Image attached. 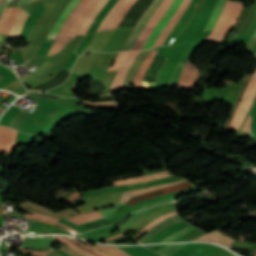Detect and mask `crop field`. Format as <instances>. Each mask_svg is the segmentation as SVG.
Instances as JSON below:
<instances>
[{"label": "crop field", "instance_id": "crop-field-1", "mask_svg": "<svg viewBox=\"0 0 256 256\" xmlns=\"http://www.w3.org/2000/svg\"><path fill=\"white\" fill-rule=\"evenodd\" d=\"M97 1L98 0H81L78 6L73 10L71 15L65 21L62 29L58 34L57 40L63 41L66 44L72 38H74L86 16Z\"/></svg>", "mask_w": 256, "mask_h": 256}, {"label": "crop field", "instance_id": "crop-field-2", "mask_svg": "<svg viewBox=\"0 0 256 256\" xmlns=\"http://www.w3.org/2000/svg\"><path fill=\"white\" fill-rule=\"evenodd\" d=\"M244 3H233L227 1L223 12L213 30V32L206 38L207 40H219L226 35V33L233 26L238 14L240 13Z\"/></svg>", "mask_w": 256, "mask_h": 256}, {"label": "crop field", "instance_id": "crop-field-3", "mask_svg": "<svg viewBox=\"0 0 256 256\" xmlns=\"http://www.w3.org/2000/svg\"><path fill=\"white\" fill-rule=\"evenodd\" d=\"M256 99V73L253 76L240 104L235 113L233 121L228 129L241 130L247 115L249 114L252 105Z\"/></svg>", "mask_w": 256, "mask_h": 256}, {"label": "crop field", "instance_id": "crop-field-4", "mask_svg": "<svg viewBox=\"0 0 256 256\" xmlns=\"http://www.w3.org/2000/svg\"><path fill=\"white\" fill-rule=\"evenodd\" d=\"M136 0H118L97 31L115 29L120 20L125 16ZM119 25V24H118Z\"/></svg>", "mask_w": 256, "mask_h": 256}, {"label": "crop field", "instance_id": "crop-field-5", "mask_svg": "<svg viewBox=\"0 0 256 256\" xmlns=\"http://www.w3.org/2000/svg\"><path fill=\"white\" fill-rule=\"evenodd\" d=\"M163 2V0H155L153 4L150 6V8L146 11V13L141 18L140 22L128 38L127 42L123 46L122 50H132L133 46L135 45L136 41L140 37L142 31L144 30L145 26L147 25L149 19L154 14V12L157 10V8L160 6V4Z\"/></svg>", "mask_w": 256, "mask_h": 256}, {"label": "crop field", "instance_id": "crop-field-6", "mask_svg": "<svg viewBox=\"0 0 256 256\" xmlns=\"http://www.w3.org/2000/svg\"><path fill=\"white\" fill-rule=\"evenodd\" d=\"M173 0H165L156 14L151 18V21L148 23L149 26L155 27L157 22L161 19L165 11L168 9L169 5L172 3ZM153 30L152 27H146L144 32L142 33L141 37L137 41L133 50H141L143 44L145 43L146 39L150 35L151 31Z\"/></svg>", "mask_w": 256, "mask_h": 256}, {"label": "crop field", "instance_id": "crop-field-7", "mask_svg": "<svg viewBox=\"0 0 256 256\" xmlns=\"http://www.w3.org/2000/svg\"><path fill=\"white\" fill-rule=\"evenodd\" d=\"M181 2H182V0H175L173 2V4L170 6L168 11L165 13L163 18L160 20L158 26L153 31L152 35L150 36V38L148 39V41L146 42V44L144 45L142 50H146V49H149L152 47L154 41L156 40V38L158 37L160 32L163 30V28L166 26V24L169 22V20L173 16L174 12L180 6Z\"/></svg>", "mask_w": 256, "mask_h": 256}, {"label": "crop field", "instance_id": "crop-field-8", "mask_svg": "<svg viewBox=\"0 0 256 256\" xmlns=\"http://www.w3.org/2000/svg\"><path fill=\"white\" fill-rule=\"evenodd\" d=\"M190 186H192V185L190 183L186 182V183H182V184H179V185L166 187V188L159 189V190H156V191L144 194V195L133 197L126 204L134 206L140 200L147 199V198H150V197L160 196V195L167 194V193H171V192L181 190V189H184V188H187V187H190Z\"/></svg>", "mask_w": 256, "mask_h": 256}, {"label": "crop field", "instance_id": "crop-field-9", "mask_svg": "<svg viewBox=\"0 0 256 256\" xmlns=\"http://www.w3.org/2000/svg\"><path fill=\"white\" fill-rule=\"evenodd\" d=\"M138 53L139 52H131L130 53V55L128 56L127 60L123 64L122 68L119 70L115 80L113 81L109 93L115 92L117 90H120L121 85H122L123 80H124V76H125L127 70L129 69L130 65L132 64L133 60L138 55Z\"/></svg>", "mask_w": 256, "mask_h": 256}, {"label": "crop field", "instance_id": "crop-field-10", "mask_svg": "<svg viewBox=\"0 0 256 256\" xmlns=\"http://www.w3.org/2000/svg\"><path fill=\"white\" fill-rule=\"evenodd\" d=\"M16 133L12 129L0 126V151L10 152L15 142Z\"/></svg>", "mask_w": 256, "mask_h": 256}, {"label": "crop field", "instance_id": "crop-field-11", "mask_svg": "<svg viewBox=\"0 0 256 256\" xmlns=\"http://www.w3.org/2000/svg\"><path fill=\"white\" fill-rule=\"evenodd\" d=\"M191 0H184V2L181 4V6L179 7V9L177 10V12L174 14V16L172 17V19L170 20V22L168 23V25L166 26V28L164 29V31L161 33V35L158 37V39L156 40L154 46L156 45H161L162 42L164 41V39L166 38V36L169 34V32L171 31V29L173 28V26L176 24V22L178 21V19L181 17V15L183 14V12L186 10V8L188 7L189 3ZM153 46V47H154Z\"/></svg>", "mask_w": 256, "mask_h": 256}, {"label": "crop field", "instance_id": "crop-field-12", "mask_svg": "<svg viewBox=\"0 0 256 256\" xmlns=\"http://www.w3.org/2000/svg\"><path fill=\"white\" fill-rule=\"evenodd\" d=\"M148 52H149V50L140 52V54L134 60L132 66L130 67V69L127 72L122 89H130L131 88L132 82L135 77V73H136L137 69L140 67V65L143 63Z\"/></svg>", "mask_w": 256, "mask_h": 256}, {"label": "crop field", "instance_id": "crop-field-13", "mask_svg": "<svg viewBox=\"0 0 256 256\" xmlns=\"http://www.w3.org/2000/svg\"><path fill=\"white\" fill-rule=\"evenodd\" d=\"M80 0H71L70 3L68 4L67 8L63 11V13L60 15L58 20L56 21L55 25L51 29L53 32H59L61 26L63 25L64 21L68 17V15L72 12L73 8L76 6V4ZM57 36L56 33L50 32L47 38H55Z\"/></svg>", "mask_w": 256, "mask_h": 256}, {"label": "crop field", "instance_id": "crop-field-14", "mask_svg": "<svg viewBox=\"0 0 256 256\" xmlns=\"http://www.w3.org/2000/svg\"><path fill=\"white\" fill-rule=\"evenodd\" d=\"M54 40H46L43 45L40 47L38 52L35 54V56H44L47 54L48 50L50 49L52 43ZM10 59H14L17 61H20L22 63L27 62L24 51L23 50H16V52L9 57ZM19 62V63H20Z\"/></svg>", "mask_w": 256, "mask_h": 256}, {"label": "crop field", "instance_id": "crop-field-15", "mask_svg": "<svg viewBox=\"0 0 256 256\" xmlns=\"http://www.w3.org/2000/svg\"><path fill=\"white\" fill-rule=\"evenodd\" d=\"M168 176H172V175L168 171H166V172L157 173V174L148 175V176L130 178V179L122 180V181H115V182H113V184H114V186H120V185L150 181V180L163 178V177H168Z\"/></svg>", "mask_w": 256, "mask_h": 256}, {"label": "crop field", "instance_id": "crop-field-16", "mask_svg": "<svg viewBox=\"0 0 256 256\" xmlns=\"http://www.w3.org/2000/svg\"><path fill=\"white\" fill-rule=\"evenodd\" d=\"M179 221H181V218L178 215L171 217V218L159 223L155 227L151 228L143 237L138 239L137 242L142 243L145 240H147L149 237H151L153 234L157 233L158 231H160L176 222H179Z\"/></svg>", "mask_w": 256, "mask_h": 256}, {"label": "crop field", "instance_id": "crop-field-17", "mask_svg": "<svg viewBox=\"0 0 256 256\" xmlns=\"http://www.w3.org/2000/svg\"><path fill=\"white\" fill-rule=\"evenodd\" d=\"M182 182H186V181L185 180H180V181L169 183V184H163V185H157V186L148 187L146 189L126 191V192L123 193V195H122V197H121L119 202L125 204V202L127 200H129L133 196H136V195H139V194H143V193H147V192L156 190V189L161 188V187H165V186H169V185H173V184H177V183H182Z\"/></svg>", "mask_w": 256, "mask_h": 256}, {"label": "crop field", "instance_id": "crop-field-18", "mask_svg": "<svg viewBox=\"0 0 256 256\" xmlns=\"http://www.w3.org/2000/svg\"><path fill=\"white\" fill-rule=\"evenodd\" d=\"M156 53H157L156 51L150 50V52H149L147 58L145 59L144 63L141 65V67L137 71V74H136V77H135V80H134V83H133L131 89H139L140 83H141L142 78H143V75H144L146 69L148 68V66L151 64V62H152Z\"/></svg>", "mask_w": 256, "mask_h": 256}, {"label": "crop field", "instance_id": "crop-field-19", "mask_svg": "<svg viewBox=\"0 0 256 256\" xmlns=\"http://www.w3.org/2000/svg\"><path fill=\"white\" fill-rule=\"evenodd\" d=\"M99 218H103V216L101 215V213L98 210H96L94 212L87 213V214L80 215V216H76V217H73V218H70V219H67V220L79 225V224L89 222V221H93V220H96V219H99Z\"/></svg>", "mask_w": 256, "mask_h": 256}, {"label": "crop field", "instance_id": "crop-field-20", "mask_svg": "<svg viewBox=\"0 0 256 256\" xmlns=\"http://www.w3.org/2000/svg\"><path fill=\"white\" fill-rule=\"evenodd\" d=\"M120 248L132 256H157V254L153 253L152 251L148 250L143 246L120 247Z\"/></svg>", "mask_w": 256, "mask_h": 256}, {"label": "crop field", "instance_id": "crop-field-21", "mask_svg": "<svg viewBox=\"0 0 256 256\" xmlns=\"http://www.w3.org/2000/svg\"><path fill=\"white\" fill-rule=\"evenodd\" d=\"M225 2H226V0H218V2L216 4V7H215V10H214V13L212 12L213 15L211 14L212 17L210 16L211 19L209 18L210 21L208 20L209 22H208V24H207V26L205 27L204 30L213 29L214 25L216 24L221 12H222V9H223V6H224Z\"/></svg>", "mask_w": 256, "mask_h": 256}, {"label": "crop field", "instance_id": "crop-field-22", "mask_svg": "<svg viewBox=\"0 0 256 256\" xmlns=\"http://www.w3.org/2000/svg\"><path fill=\"white\" fill-rule=\"evenodd\" d=\"M21 110L17 108L16 106H12L5 114L4 116L0 119V125L3 126H9L13 118L16 116L18 111Z\"/></svg>", "mask_w": 256, "mask_h": 256}, {"label": "crop field", "instance_id": "crop-field-23", "mask_svg": "<svg viewBox=\"0 0 256 256\" xmlns=\"http://www.w3.org/2000/svg\"><path fill=\"white\" fill-rule=\"evenodd\" d=\"M28 15L29 14H27L25 11L22 10V12L20 13V15H19V17H18V19L15 23V26H14V28L11 31L9 36H12V37H18L19 36V33H20L21 27L23 25V22L28 17Z\"/></svg>", "mask_w": 256, "mask_h": 256}, {"label": "crop field", "instance_id": "crop-field-24", "mask_svg": "<svg viewBox=\"0 0 256 256\" xmlns=\"http://www.w3.org/2000/svg\"><path fill=\"white\" fill-rule=\"evenodd\" d=\"M209 236V238L217 243V244H220V245H223L227 248H230L231 246H229L228 244L234 242L228 238H226L223 234L221 233H215V234H207Z\"/></svg>", "mask_w": 256, "mask_h": 256}, {"label": "crop field", "instance_id": "crop-field-25", "mask_svg": "<svg viewBox=\"0 0 256 256\" xmlns=\"http://www.w3.org/2000/svg\"><path fill=\"white\" fill-rule=\"evenodd\" d=\"M197 73H198V70L196 69L195 66H193L189 63H186V66L180 76V80H183V79L189 78V77H193V76L197 75Z\"/></svg>", "mask_w": 256, "mask_h": 256}, {"label": "crop field", "instance_id": "crop-field-26", "mask_svg": "<svg viewBox=\"0 0 256 256\" xmlns=\"http://www.w3.org/2000/svg\"><path fill=\"white\" fill-rule=\"evenodd\" d=\"M177 213H176V211H174V212H172V213H169V214H166V215H162L161 217H159V218H157V219H155V220H153L151 223H149L146 227H144L143 229H142V231L139 233V234H137V236H142L144 233H146L151 227H153L155 224H157L158 222H160V221H162V220H164V219H166V218H168V217H171V216H173V215H176Z\"/></svg>", "mask_w": 256, "mask_h": 256}, {"label": "crop field", "instance_id": "crop-field-27", "mask_svg": "<svg viewBox=\"0 0 256 256\" xmlns=\"http://www.w3.org/2000/svg\"><path fill=\"white\" fill-rule=\"evenodd\" d=\"M20 10L21 9H17V8L14 9L10 18L8 19L7 23L5 24V26L3 28V31H2L3 34H7V35L9 34V32L13 26V23H14L17 15L19 14Z\"/></svg>", "mask_w": 256, "mask_h": 256}, {"label": "crop field", "instance_id": "crop-field-28", "mask_svg": "<svg viewBox=\"0 0 256 256\" xmlns=\"http://www.w3.org/2000/svg\"><path fill=\"white\" fill-rule=\"evenodd\" d=\"M129 52H120L119 55L117 56L114 65L109 68L108 70H119L120 66L128 56ZM107 70V71H108Z\"/></svg>", "mask_w": 256, "mask_h": 256}, {"label": "crop field", "instance_id": "crop-field-29", "mask_svg": "<svg viewBox=\"0 0 256 256\" xmlns=\"http://www.w3.org/2000/svg\"><path fill=\"white\" fill-rule=\"evenodd\" d=\"M249 10H250V7L243 8V10L241 11L239 18H238L239 21L235 22L233 28L238 29V30L241 28V26L244 24V22L246 20Z\"/></svg>", "mask_w": 256, "mask_h": 256}, {"label": "crop field", "instance_id": "crop-field-30", "mask_svg": "<svg viewBox=\"0 0 256 256\" xmlns=\"http://www.w3.org/2000/svg\"><path fill=\"white\" fill-rule=\"evenodd\" d=\"M194 228H196V227H194V226L191 225V226H189V227H187V228H185V229H183V230H181V231H179V232H177V233L171 235L170 237L164 239L162 242H170V241L176 239L177 237H179V236H181V235H183V234H185V233H187V232L193 230ZM160 243H161V242H160Z\"/></svg>", "mask_w": 256, "mask_h": 256}, {"label": "crop field", "instance_id": "crop-field-31", "mask_svg": "<svg viewBox=\"0 0 256 256\" xmlns=\"http://www.w3.org/2000/svg\"><path fill=\"white\" fill-rule=\"evenodd\" d=\"M195 80H196V77L188 79V80L181 81V82H179L178 87L192 91L193 87H194V84H195Z\"/></svg>", "mask_w": 256, "mask_h": 256}, {"label": "crop field", "instance_id": "crop-field-32", "mask_svg": "<svg viewBox=\"0 0 256 256\" xmlns=\"http://www.w3.org/2000/svg\"><path fill=\"white\" fill-rule=\"evenodd\" d=\"M183 66H184L183 64L178 62L177 66H176V68H175V70L173 72V76H172V79H171V82H170L169 85H172V84L178 82L180 73H181V71L183 69Z\"/></svg>", "mask_w": 256, "mask_h": 256}, {"label": "crop field", "instance_id": "crop-field-33", "mask_svg": "<svg viewBox=\"0 0 256 256\" xmlns=\"http://www.w3.org/2000/svg\"><path fill=\"white\" fill-rule=\"evenodd\" d=\"M103 220H105V218L100 219V220H97V221H94V222L86 223V224H83V225H79V226H77V225H75V224H73V223H71V222H69V221H67V220H63V219H60L59 222L64 223V224H67V225H69V226L75 228V229L78 230L79 232L83 233V232H85V231H84L83 229H81L80 227H82V226H84V225H88V224H93V223L101 222V221H103Z\"/></svg>", "mask_w": 256, "mask_h": 256}, {"label": "crop field", "instance_id": "crop-field-34", "mask_svg": "<svg viewBox=\"0 0 256 256\" xmlns=\"http://www.w3.org/2000/svg\"><path fill=\"white\" fill-rule=\"evenodd\" d=\"M12 10H13V8H7V9L4 11L2 17L0 18V32H1V30H2V28H3V26H4V24H5V22H6L7 19L9 18V16H10Z\"/></svg>", "mask_w": 256, "mask_h": 256}, {"label": "crop field", "instance_id": "crop-field-35", "mask_svg": "<svg viewBox=\"0 0 256 256\" xmlns=\"http://www.w3.org/2000/svg\"><path fill=\"white\" fill-rule=\"evenodd\" d=\"M82 102H84V101H82ZM84 103L91 104V105H96V106H100V107H104V108H116V107H119V105L116 102H104V103H88V102H84Z\"/></svg>", "mask_w": 256, "mask_h": 256}, {"label": "crop field", "instance_id": "crop-field-36", "mask_svg": "<svg viewBox=\"0 0 256 256\" xmlns=\"http://www.w3.org/2000/svg\"><path fill=\"white\" fill-rule=\"evenodd\" d=\"M255 12H256V3L254 4V6H253V8H252V10H251V12H250V15H249L247 21L245 22L243 28H242L241 31H240L241 34L244 33V31L246 30V28H247L248 25L250 24V22H251V20H252V18H253V16H254V14H255Z\"/></svg>", "mask_w": 256, "mask_h": 256}, {"label": "crop field", "instance_id": "crop-field-37", "mask_svg": "<svg viewBox=\"0 0 256 256\" xmlns=\"http://www.w3.org/2000/svg\"><path fill=\"white\" fill-rule=\"evenodd\" d=\"M65 44L58 42L55 40L54 44L52 45L48 55L51 54H55L56 52H58L60 49H62L64 47Z\"/></svg>", "mask_w": 256, "mask_h": 256}, {"label": "crop field", "instance_id": "crop-field-38", "mask_svg": "<svg viewBox=\"0 0 256 256\" xmlns=\"http://www.w3.org/2000/svg\"><path fill=\"white\" fill-rule=\"evenodd\" d=\"M77 57L78 56L75 53H73L72 56L70 57V59L67 61V63L63 66V68L69 70L72 67V65L74 64Z\"/></svg>", "mask_w": 256, "mask_h": 256}, {"label": "crop field", "instance_id": "crop-field-39", "mask_svg": "<svg viewBox=\"0 0 256 256\" xmlns=\"http://www.w3.org/2000/svg\"><path fill=\"white\" fill-rule=\"evenodd\" d=\"M60 250H62L63 252H65L71 256H83V255L71 250L70 248H68L66 246L61 247Z\"/></svg>", "mask_w": 256, "mask_h": 256}, {"label": "crop field", "instance_id": "crop-field-40", "mask_svg": "<svg viewBox=\"0 0 256 256\" xmlns=\"http://www.w3.org/2000/svg\"><path fill=\"white\" fill-rule=\"evenodd\" d=\"M19 253H28V254H34V255H40V256H47L48 252L44 251H19Z\"/></svg>", "mask_w": 256, "mask_h": 256}, {"label": "crop field", "instance_id": "crop-field-41", "mask_svg": "<svg viewBox=\"0 0 256 256\" xmlns=\"http://www.w3.org/2000/svg\"><path fill=\"white\" fill-rule=\"evenodd\" d=\"M117 233H119V232L116 231V232H114V233H112V234H110V235H108V236H104V237H101V238H99V239L95 238L94 236H92V235H91L90 233H88V232H86V233H84V234H85L86 236H88L89 238H91L92 240L99 242V240L104 239V238H107V237H110V236L115 235V234H117Z\"/></svg>", "mask_w": 256, "mask_h": 256}, {"label": "crop field", "instance_id": "crop-field-42", "mask_svg": "<svg viewBox=\"0 0 256 256\" xmlns=\"http://www.w3.org/2000/svg\"><path fill=\"white\" fill-rule=\"evenodd\" d=\"M62 238L65 239L66 241H68L69 243H71L72 245H74V246H76V247H78V248H80V249H82V250H84V251H86V252H88V253L94 255V256H99V255H97V254H95V253H93V252H91V251H89V250H87V249L81 247L80 245H78V244H76V243L70 241L69 239H67V238H65V237H62Z\"/></svg>", "mask_w": 256, "mask_h": 256}, {"label": "crop field", "instance_id": "crop-field-43", "mask_svg": "<svg viewBox=\"0 0 256 256\" xmlns=\"http://www.w3.org/2000/svg\"><path fill=\"white\" fill-rule=\"evenodd\" d=\"M79 197H81V194L79 192H77L74 195H72L71 197H69L68 199H66L65 204L72 202L75 198H79Z\"/></svg>", "mask_w": 256, "mask_h": 256}, {"label": "crop field", "instance_id": "crop-field-44", "mask_svg": "<svg viewBox=\"0 0 256 256\" xmlns=\"http://www.w3.org/2000/svg\"><path fill=\"white\" fill-rule=\"evenodd\" d=\"M55 239H57V240H59V241L65 243V244H67L70 248H72V249H74V250H76V251H78V252H80V253H82V254H84V255H86V256H90V255H88V254H86V253L80 251L79 249L75 248L74 246H72V245H70V244L64 242L62 239H60V238H58V237H56Z\"/></svg>", "mask_w": 256, "mask_h": 256}, {"label": "crop field", "instance_id": "crop-field-45", "mask_svg": "<svg viewBox=\"0 0 256 256\" xmlns=\"http://www.w3.org/2000/svg\"><path fill=\"white\" fill-rule=\"evenodd\" d=\"M81 242L84 243V244H86V245H88V246H90V247H92V248H94V249H97V250H99V251H102V252H104V253H106V254H108V255H110V256H115V255H113L112 253H110V252H108V251H105V250H103V249L97 248V247H95V246H92V245L88 244L87 242H83V241H81Z\"/></svg>", "mask_w": 256, "mask_h": 256}, {"label": "crop field", "instance_id": "crop-field-46", "mask_svg": "<svg viewBox=\"0 0 256 256\" xmlns=\"http://www.w3.org/2000/svg\"><path fill=\"white\" fill-rule=\"evenodd\" d=\"M250 121H251V117L248 116V118H247V120H246V123H245V125H244V127H243L242 130H244V131H249V132H250V126H249Z\"/></svg>", "mask_w": 256, "mask_h": 256}, {"label": "crop field", "instance_id": "crop-field-47", "mask_svg": "<svg viewBox=\"0 0 256 256\" xmlns=\"http://www.w3.org/2000/svg\"><path fill=\"white\" fill-rule=\"evenodd\" d=\"M110 247V246H109ZM113 249H115L117 252H119L120 254H122L123 256H130L129 254H127L126 252H124L123 250L117 248V247H111Z\"/></svg>", "mask_w": 256, "mask_h": 256}, {"label": "crop field", "instance_id": "crop-field-48", "mask_svg": "<svg viewBox=\"0 0 256 256\" xmlns=\"http://www.w3.org/2000/svg\"><path fill=\"white\" fill-rule=\"evenodd\" d=\"M95 246H98V247H102V248H105V249H107V250H110L111 252H113L115 255H117V256H122V255H120L119 253H117L115 250H113V249H111V248H108V247H106V246H101V245H95Z\"/></svg>", "mask_w": 256, "mask_h": 256}, {"label": "crop field", "instance_id": "crop-field-49", "mask_svg": "<svg viewBox=\"0 0 256 256\" xmlns=\"http://www.w3.org/2000/svg\"><path fill=\"white\" fill-rule=\"evenodd\" d=\"M6 6V0H3L1 3H0V15L2 14L4 8Z\"/></svg>", "mask_w": 256, "mask_h": 256}, {"label": "crop field", "instance_id": "crop-field-50", "mask_svg": "<svg viewBox=\"0 0 256 256\" xmlns=\"http://www.w3.org/2000/svg\"><path fill=\"white\" fill-rule=\"evenodd\" d=\"M194 241H210V240H209V238L206 237V235H203V236L197 238Z\"/></svg>", "mask_w": 256, "mask_h": 256}, {"label": "crop field", "instance_id": "crop-field-51", "mask_svg": "<svg viewBox=\"0 0 256 256\" xmlns=\"http://www.w3.org/2000/svg\"><path fill=\"white\" fill-rule=\"evenodd\" d=\"M20 0H12L7 7H15Z\"/></svg>", "mask_w": 256, "mask_h": 256}, {"label": "crop field", "instance_id": "crop-field-52", "mask_svg": "<svg viewBox=\"0 0 256 256\" xmlns=\"http://www.w3.org/2000/svg\"><path fill=\"white\" fill-rule=\"evenodd\" d=\"M71 240H73L72 238H70ZM73 241H75V240H73ZM75 242H77V241H75ZM78 244H80L81 246H83V247H86V246H84L83 244H81V243H79V242H77ZM86 248H88V247H86ZM90 249V248H89ZM92 250V249H91ZM94 252H96V253H98V254H100V255H102V256H107V255H105V254H103V253H101V252H99V251H96V250H93Z\"/></svg>", "mask_w": 256, "mask_h": 256}, {"label": "crop field", "instance_id": "crop-field-53", "mask_svg": "<svg viewBox=\"0 0 256 256\" xmlns=\"http://www.w3.org/2000/svg\"><path fill=\"white\" fill-rule=\"evenodd\" d=\"M30 0H21L17 6L28 3Z\"/></svg>", "mask_w": 256, "mask_h": 256}, {"label": "crop field", "instance_id": "crop-field-54", "mask_svg": "<svg viewBox=\"0 0 256 256\" xmlns=\"http://www.w3.org/2000/svg\"><path fill=\"white\" fill-rule=\"evenodd\" d=\"M122 235H123V234H122V233H120V234L115 235V236H113V237L107 238V239H105L104 241H107V240H110V239H112V238L119 237V236H122Z\"/></svg>", "mask_w": 256, "mask_h": 256}, {"label": "crop field", "instance_id": "crop-field-55", "mask_svg": "<svg viewBox=\"0 0 256 256\" xmlns=\"http://www.w3.org/2000/svg\"><path fill=\"white\" fill-rule=\"evenodd\" d=\"M208 92H209V90L206 89L202 99H204V100L206 99V96H207Z\"/></svg>", "mask_w": 256, "mask_h": 256}, {"label": "crop field", "instance_id": "crop-field-56", "mask_svg": "<svg viewBox=\"0 0 256 256\" xmlns=\"http://www.w3.org/2000/svg\"><path fill=\"white\" fill-rule=\"evenodd\" d=\"M2 112H3V109L0 108V115L2 114Z\"/></svg>", "mask_w": 256, "mask_h": 256}, {"label": "crop field", "instance_id": "crop-field-57", "mask_svg": "<svg viewBox=\"0 0 256 256\" xmlns=\"http://www.w3.org/2000/svg\"><path fill=\"white\" fill-rule=\"evenodd\" d=\"M253 36H256V32H255V34Z\"/></svg>", "mask_w": 256, "mask_h": 256}, {"label": "crop field", "instance_id": "crop-field-58", "mask_svg": "<svg viewBox=\"0 0 256 256\" xmlns=\"http://www.w3.org/2000/svg\"><path fill=\"white\" fill-rule=\"evenodd\" d=\"M11 0H8V3L10 2Z\"/></svg>", "mask_w": 256, "mask_h": 256}, {"label": "crop field", "instance_id": "crop-field-59", "mask_svg": "<svg viewBox=\"0 0 256 256\" xmlns=\"http://www.w3.org/2000/svg\"><path fill=\"white\" fill-rule=\"evenodd\" d=\"M32 1H35V0H32ZM32 1H30V2H32Z\"/></svg>", "mask_w": 256, "mask_h": 256}, {"label": "crop field", "instance_id": "crop-field-60", "mask_svg": "<svg viewBox=\"0 0 256 256\" xmlns=\"http://www.w3.org/2000/svg\"><path fill=\"white\" fill-rule=\"evenodd\" d=\"M1 36H2V35H0V39H1Z\"/></svg>", "mask_w": 256, "mask_h": 256}, {"label": "crop field", "instance_id": "crop-field-61", "mask_svg": "<svg viewBox=\"0 0 256 256\" xmlns=\"http://www.w3.org/2000/svg\"><path fill=\"white\" fill-rule=\"evenodd\" d=\"M233 256H236V255H233Z\"/></svg>", "mask_w": 256, "mask_h": 256}, {"label": "crop field", "instance_id": "crop-field-62", "mask_svg": "<svg viewBox=\"0 0 256 256\" xmlns=\"http://www.w3.org/2000/svg\"><path fill=\"white\" fill-rule=\"evenodd\" d=\"M2 0H0V2H1Z\"/></svg>", "mask_w": 256, "mask_h": 256}, {"label": "crop field", "instance_id": "crop-field-63", "mask_svg": "<svg viewBox=\"0 0 256 256\" xmlns=\"http://www.w3.org/2000/svg\"><path fill=\"white\" fill-rule=\"evenodd\" d=\"M256 57V56H255Z\"/></svg>", "mask_w": 256, "mask_h": 256}]
</instances>
